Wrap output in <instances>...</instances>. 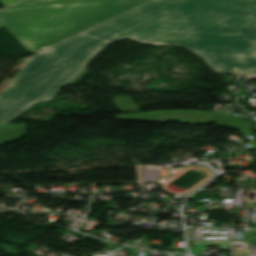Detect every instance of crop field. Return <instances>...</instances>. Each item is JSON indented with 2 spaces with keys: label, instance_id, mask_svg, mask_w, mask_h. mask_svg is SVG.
I'll return each mask as SVG.
<instances>
[{
  "label": "crop field",
  "instance_id": "crop-field-4",
  "mask_svg": "<svg viewBox=\"0 0 256 256\" xmlns=\"http://www.w3.org/2000/svg\"><path fill=\"white\" fill-rule=\"evenodd\" d=\"M147 1L149 0H106L98 4L96 18L101 23Z\"/></svg>",
  "mask_w": 256,
  "mask_h": 256
},
{
  "label": "crop field",
  "instance_id": "crop-field-7",
  "mask_svg": "<svg viewBox=\"0 0 256 256\" xmlns=\"http://www.w3.org/2000/svg\"><path fill=\"white\" fill-rule=\"evenodd\" d=\"M113 100L121 112H139L132 97L117 96Z\"/></svg>",
  "mask_w": 256,
  "mask_h": 256
},
{
  "label": "crop field",
  "instance_id": "crop-field-13",
  "mask_svg": "<svg viewBox=\"0 0 256 256\" xmlns=\"http://www.w3.org/2000/svg\"><path fill=\"white\" fill-rule=\"evenodd\" d=\"M97 7V6H96ZM95 13H96V10H95ZM94 17H95V14H94ZM96 19V18H95Z\"/></svg>",
  "mask_w": 256,
  "mask_h": 256
},
{
  "label": "crop field",
  "instance_id": "crop-field-8",
  "mask_svg": "<svg viewBox=\"0 0 256 256\" xmlns=\"http://www.w3.org/2000/svg\"><path fill=\"white\" fill-rule=\"evenodd\" d=\"M196 247L191 248L192 254L199 255L202 249L206 246H219L222 249H229V241H215V242H194Z\"/></svg>",
  "mask_w": 256,
  "mask_h": 256
},
{
  "label": "crop field",
  "instance_id": "crop-field-6",
  "mask_svg": "<svg viewBox=\"0 0 256 256\" xmlns=\"http://www.w3.org/2000/svg\"><path fill=\"white\" fill-rule=\"evenodd\" d=\"M26 134L24 123L0 126V145L11 143Z\"/></svg>",
  "mask_w": 256,
  "mask_h": 256
},
{
  "label": "crop field",
  "instance_id": "crop-field-10",
  "mask_svg": "<svg viewBox=\"0 0 256 256\" xmlns=\"http://www.w3.org/2000/svg\"><path fill=\"white\" fill-rule=\"evenodd\" d=\"M90 71L83 69L76 77H74L68 84L76 85L82 78H84Z\"/></svg>",
  "mask_w": 256,
  "mask_h": 256
},
{
  "label": "crop field",
  "instance_id": "crop-field-3",
  "mask_svg": "<svg viewBox=\"0 0 256 256\" xmlns=\"http://www.w3.org/2000/svg\"><path fill=\"white\" fill-rule=\"evenodd\" d=\"M116 119L155 121L164 122L166 120L177 119L182 123H214L215 121H238L236 116L203 112L194 110H159L141 114H125L116 116Z\"/></svg>",
  "mask_w": 256,
  "mask_h": 256
},
{
  "label": "crop field",
  "instance_id": "crop-field-11",
  "mask_svg": "<svg viewBox=\"0 0 256 256\" xmlns=\"http://www.w3.org/2000/svg\"><path fill=\"white\" fill-rule=\"evenodd\" d=\"M250 244H256V231H246Z\"/></svg>",
  "mask_w": 256,
  "mask_h": 256
},
{
  "label": "crop field",
  "instance_id": "crop-field-2",
  "mask_svg": "<svg viewBox=\"0 0 256 256\" xmlns=\"http://www.w3.org/2000/svg\"><path fill=\"white\" fill-rule=\"evenodd\" d=\"M96 4L0 12V26L30 52L61 42L94 25Z\"/></svg>",
  "mask_w": 256,
  "mask_h": 256
},
{
  "label": "crop field",
  "instance_id": "crop-field-12",
  "mask_svg": "<svg viewBox=\"0 0 256 256\" xmlns=\"http://www.w3.org/2000/svg\"><path fill=\"white\" fill-rule=\"evenodd\" d=\"M20 0H0L1 4L5 7L7 5H10L12 3L18 2Z\"/></svg>",
  "mask_w": 256,
  "mask_h": 256
},
{
  "label": "crop field",
  "instance_id": "crop-field-9",
  "mask_svg": "<svg viewBox=\"0 0 256 256\" xmlns=\"http://www.w3.org/2000/svg\"><path fill=\"white\" fill-rule=\"evenodd\" d=\"M215 124L234 127L240 131L252 132L250 122H216Z\"/></svg>",
  "mask_w": 256,
  "mask_h": 256
},
{
  "label": "crop field",
  "instance_id": "crop-field-1",
  "mask_svg": "<svg viewBox=\"0 0 256 256\" xmlns=\"http://www.w3.org/2000/svg\"><path fill=\"white\" fill-rule=\"evenodd\" d=\"M178 44L216 73L256 76V0H153L35 56L0 93V125L52 98L105 46Z\"/></svg>",
  "mask_w": 256,
  "mask_h": 256
},
{
  "label": "crop field",
  "instance_id": "crop-field-5",
  "mask_svg": "<svg viewBox=\"0 0 256 256\" xmlns=\"http://www.w3.org/2000/svg\"><path fill=\"white\" fill-rule=\"evenodd\" d=\"M101 1L103 0H28L26 2L20 3L8 9L99 3Z\"/></svg>",
  "mask_w": 256,
  "mask_h": 256
}]
</instances>
